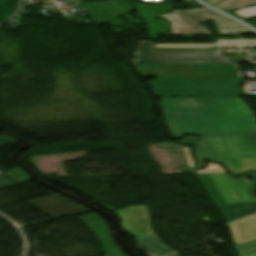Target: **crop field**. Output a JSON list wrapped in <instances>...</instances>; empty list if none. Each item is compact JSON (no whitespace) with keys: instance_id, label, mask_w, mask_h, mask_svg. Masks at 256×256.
<instances>
[{"instance_id":"crop-field-1","label":"crop field","mask_w":256,"mask_h":256,"mask_svg":"<svg viewBox=\"0 0 256 256\" xmlns=\"http://www.w3.org/2000/svg\"><path fill=\"white\" fill-rule=\"evenodd\" d=\"M167 128L174 139L256 133V117L241 98L160 99Z\"/></svg>"},{"instance_id":"crop-field-2","label":"crop field","mask_w":256,"mask_h":256,"mask_svg":"<svg viewBox=\"0 0 256 256\" xmlns=\"http://www.w3.org/2000/svg\"><path fill=\"white\" fill-rule=\"evenodd\" d=\"M242 82L241 78L158 79L149 84L158 97H243Z\"/></svg>"},{"instance_id":"crop-field-3","label":"crop field","mask_w":256,"mask_h":256,"mask_svg":"<svg viewBox=\"0 0 256 256\" xmlns=\"http://www.w3.org/2000/svg\"><path fill=\"white\" fill-rule=\"evenodd\" d=\"M250 60L256 59V50H246ZM134 64H204L250 62L247 58H219V49H156L151 42H143ZM161 57H164L163 60ZM256 63V62H250Z\"/></svg>"},{"instance_id":"crop-field-4","label":"crop field","mask_w":256,"mask_h":256,"mask_svg":"<svg viewBox=\"0 0 256 256\" xmlns=\"http://www.w3.org/2000/svg\"><path fill=\"white\" fill-rule=\"evenodd\" d=\"M159 18H164L172 23L170 35H208L210 33L197 23L203 20H214L219 34L253 33L242 25L205 8L174 10L171 13L161 15ZM219 18L223 19L220 20Z\"/></svg>"},{"instance_id":"crop-field-5","label":"crop field","mask_w":256,"mask_h":256,"mask_svg":"<svg viewBox=\"0 0 256 256\" xmlns=\"http://www.w3.org/2000/svg\"><path fill=\"white\" fill-rule=\"evenodd\" d=\"M139 74L157 78L241 77L237 64L135 65Z\"/></svg>"},{"instance_id":"crop-field-6","label":"crop field","mask_w":256,"mask_h":256,"mask_svg":"<svg viewBox=\"0 0 256 256\" xmlns=\"http://www.w3.org/2000/svg\"><path fill=\"white\" fill-rule=\"evenodd\" d=\"M194 138L196 137H188L182 143H187ZM187 144L193 146L199 164L203 161H208L207 157L211 156L256 155V134L202 137L200 141Z\"/></svg>"},{"instance_id":"crop-field-7","label":"crop field","mask_w":256,"mask_h":256,"mask_svg":"<svg viewBox=\"0 0 256 256\" xmlns=\"http://www.w3.org/2000/svg\"><path fill=\"white\" fill-rule=\"evenodd\" d=\"M215 205L254 202L248 190L252 182L247 179L233 180L224 174H198Z\"/></svg>"},{"instance_id":"crop-field-8","label":"crop field","mask_w":256,"mask_h":256,"mask_svg":"<svg viewBox=\"0 0 256 256\" xmlns=\"http://www.w3.org/2000/svg\"><path fill=\"white\" fill-rule=\"evenodd\" d=\"M108 210L115 211L112 208L98 203ZM116 215L122 219V228L126 232L136 236V240H142L155 235L151 231V226L148 218L147 208L142 206L131 207L121 211H116Z\"/></svg>"},{"instance_id":"crop-field-9","label":"crop field","mask_w":256,"mask_h":256,"mask_svg":"<svg viewBox=\"0 0 256 256\" xmlns=\"http://www.w3.org/2000/svg\"><path fill=\"white\" fill-rule=\"evenodd\" d=\"M85 6L97 25L107 23L133 11L129 2L125 0H109L88 3L85 4Z\"/></svg>"},{"instance_id":"crop-field-10","label":"crop field","mask_w":256,"mask_h":256,"mask_svg":"<svg viewBox=\"0 0 256 256\" xmlns=\"http://www.w3.org/2000/svg\"><path fill=\"white\" fill-rule=\"evenodd\" d=\"M79 219L85 222L95 232L96 236L102 242L105 256H125L115 245L110 229L97 214H88L79 217Z\"/></svg>"},{"instance_id":"crop-field-11","label":"crop field","mask_w":256,"mask_h":256,"mask_svg":"<svg viewBox=\"0 0 256 256\" xmlns=\"http://www.w3.org/2000/svg\"><path fill=\"white\" fill-rule=\"evenodd\" d=\"M223 164L233 175H240L247 170H256V156L232 155L208 158Z\"/></svg>"},{"instance_id":"crop-field-12","label":"crop field","mask_w":256,"mask_h":256,"mask_svg":"<svg viewBox=\"0 0 256 256\" xmlns=\"http://www.w3.org/2000/svg\"><path fill=\"white\" fill-rule=\"evenodd\" d=\"M157 48H256V39L253 40H217V44H154Z\"/></svg>"},{"instance_id":"crop-field-13","label":"crop field","mask_w":256,"mask_h":256,"mask_svg":"<svg viewBox=\"0 0 256 256\" xmlns=\"http://www.w3.org/2000/svg\"><path fill=\"white\" fill-rule=\"evenodd\" d=\"M235 243H242L256 239V216L230 224Z\"/></svg>"},{"instance_id":"crop-field-14","label":"crop field","mask_w":256,"mask_h":256,"mask_svg":"<svg viewBox=\"0 0 256 256\" xmlns=\"http://www.w3.org/2000/svg\"><path fill=\"white\" fill-rule=\"evenodd\" d=\"M217 208L227 220V222H232L256 213V202L234 205H221L217 206Z\"/></svg>"},{"instance_id":"crop-field-15","label":"crop field","mask_w":256,"mask_h":256,"mask_svg":"<svg viewBox=\"0 0 256 256\" xmlns=\"http://www.w3.org/2000/svg\"><path fill=\"white\" fill-rule=\"evenodd\" d=\"M135 245L139 250L145 251L148 256H167L173 253L172 250L165 247L155 236L139 241Z\"/></svg>"},{"instance_id":"crop-field-16","label":"crop field","mask_w":256,"mask_h":256,"mask_svg":"<svg viewBox=\"0 0 256 256\" xmlns=\"http://www.w3.org/2000/svg\"><path fill=\"white\" fill-rule=\"evenodd\" d=\"M252 4H256V0H224L212 7H217L221 11H227Z\"/></svg>"},{"instance_id":"crop-field-17","label":"crop field","mask_w":256,"mask_h":256,"mask_svg":"<svg viewBox=\"0 0 256 256\" xmlns=\"http://www.w3.org/2000/svg\"><path fill=\"white\" fill-rule=\"evenodd\" d=\"M240 256H256V240L236 245Z\"/></svg>"},{"instance_id":"crop-field-18","label":"crop field","mask_w":256,"mask_h":256,"mask_svg":"<svg viewBox=\"0 0 256 256\" xmlns=\"http://www.w3.org/2000/svg\"><path fill=\"white\" fill-rule=\"evenodd\" d=\"M197 173H226V172L217 164H208V167L205 170L198 171Z\"/></svg>"},{"instance_id":"crop-field-19","label":"crop field","mask_w":256,"mask_h":256,"mask_svg":"<svg viewBox=\"0 0 256 256\" xmlns=\"http://www.w3.org/2000/svg\"><path fill=\"white\" fill-rule=\"evenodd\" d=\"M227 177H230V178H233L231 176H229L228 174H225ZM248 175H254V178H253V183L251 185V188L249 190V193L252 197L256 198V196L253 194L254 193V187H255V184H256V173H252V174H247L241 178H234V179H242V178H246Z\"/></svg>"},{"instance_id":"crop-field-20","label":"crop field","mask_w":256,"mask_h":256,"mask_svg":"<svg viewBox=\"0 0 256 256\" xmlns=\"http://www.w3.org/2000/svg\"><path fill=\"white\" fill-rule=\"evenodd\" d=\"M11 185H15V183H13V182L9 181L8 179L0 176V188L11 186Z\"/></svg>"},{"instance_id":"crop-field-21","label":"crop field","mask_w":256,"mask_h":256,"mask_svg":"<svg viewBox=\"0 0 256 256\" xmlns=\"http://www.w3.org/2000/svg\"><path fill=\"white\" fill-rule=\"evenodd\" d=\"M184 149H185V153H186V156H187V159H188L189 164H190L191 166H193V165H194V161H193V159H192L191 156H190V150H189V148H188V147H184Z\"/></svg>"},{"instance_id":"crop-field-22","label":"crop field","mask_w":256,"mask_h":256,"mask_svg":"<svg viewBox=\"0 0 256 256\" xmlns=\"http://www.w3.org/2000/svg\"><path fill=\"white\" fill-rule=\"evenodd\" d=\"M13 142H17V141L0 137V146L5 145V144H9V143H13Z\"/></svg>"},{"instance_id":"crop-field-23","label":"crop field","mask_w":256,"mask_h":256,"mask_svg":"<svg viewBox=\"0 0 256 256\" xmlns=\"http://www.w3.org/2000/svg\"><path fill=\"white\" fill-rule=\"evenodd\" d=\"M218 1H220V0H207L205 2L210 4V5H212V4H214V3L218 2Z\"/></svg>"},{"instance_id":"crop-field-24","label":"crop field","mask_w":256,"mask_h":256,"mask_svg":"<svg viewBox=\"0 0 256 256\" xmlns=\"http://www.w3.org/2000/svg\"><path fill=\"white\" fill-rule=\"evenodd\" d=\"M253 66H254V68H255V70H256V64H253Z\"/></svg>"},{"instance_id":"crop-field-25","label":"crop field","mask_w":256,"mask_h":256,"mask_svg":"<svg viewBox=\"0 0 256 256\" xmlns=\"http://www.w3.org/2000/svg\"><path fill=\"white\" fill-rule=\"evenodd\" d=\"M172 256H178V254L172 255Z\"/></svg>"}]
</instances>
